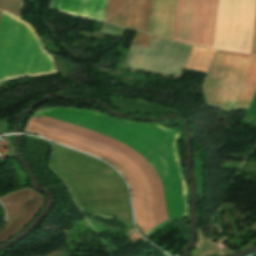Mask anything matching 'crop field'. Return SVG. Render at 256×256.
Wrapping results in <instances>:
<instances>
[{
    "label": "crop field",
    "instance_id": "4",
    "mask_svg": "<svg viewBox=\"0 0 256 256\" xmlns=\"http://www.w3.org/2000/svg\"><path fill=\"white\" fill-rule=\"evenodd\" d=\"M57 72L54 59L43 49L35 31L27 23L3 11L0 22V82Z\"/></svg>",
    "mask_w": 256,
    "mask_h": 256
},
{
    "label": "crop field",
    "instance_id": "8",
    "mask_svg": "<svg viewBox=\"0 0 256 256\" xmlns=\"http://www.w3.org/2000/svg\"><path fill=\"white\" fill-rule=\"evenodd\" d=\"M176 1L153 0L149 33L172 39Z\"/></svg>",
    "mask_w": 256,
    "mask_h": 256
},
{
    "label": "crop field",
    "instance_id": "9",
    "mask_svg": "<svg viewBox=\"0 0 256 256\" xmlns=\"http://www.w3.org/2000/svg\"><path fill=\"white\" fill-rule=\"evenodd\" d=\"M107 0H59L58 10L104 21Z\"/></svg>",
    "mask_w": 256,
    "mask_h": 256
},
{
    "label": "crop field",
    "instance_id": "7",
    "mask_svg": "<svg viewBox=\"0 0 256 256\" xmlns=\"http://www.w3.org/2000/svg\"><path fill=\"white\" fill-rule=\"evenodd\" d=\"M152 0H108L106 22L147 32Z\"/></svg>",
    "mask_w": 256,
    "mask_h": 256
},
{
    "label": "crop field",
    "instance_id": "1",
    "mask_svg": "<svg viewBox=\"0 0 256 256\" xmlns=\"http://www.w3.org/2000/svg\"><path fill=\"white\" fill-rule=\"evenodd\" d=\"M38 113L98 130L130 144L158 171L165 187L169 220L188 216L179 132L75 108H47ZM38 113L31 118L27 131L97 155L123 174L132 188L136 222L145 237L169 222L162 181L143 155L128 144L98 131Z\"/></svg>",
    "mask_w": 256,
    "mask_h": 256
},
{
    "label": "crop field",
    "instance_id": "3",
    "mask_svg": "<svg viewBox=\"0 0 256 256\" xmlns=\"http://www.w3.org/2000/svg\"><path fill=\"white\" fill-rule=\"evenodd\" d=\"M256 83V56L217 50L202 83L207 105L245 109ZM256 86L246 109L249 108Z\"/></svg>",
    "mask_w": 256,
    "mask_h": 256
},
{
    "label": "crop field",
    "instance_id": "14",
    "mask_svg": "<svg viewBox=\"0 0 256 256\" xmlns=\"http://www.w3.org/2000/svg\"><path fill=\"white\" fill-rule=\"evenodd\" d=\"M1 13H2V11H0V17H1Z\"/></svg>",
    "mask_w": 256,
    "mask_h": 256
},
{
    "label": "crop field",
    "instance_id": "12",
    "mask_svg": "<svg viewBox=\"0 0 256 256\" xmlns=\"http://www.w3.org/2000/svg\"><path fill=\"white\" fill-rule=\"evenodd\" d=\"M22 0H0V10H7L20 16Z\"/></svg>",
    "mask_w": 256,
    "mask_h": 256
},
{
    "label": "crop field",
    "instance_id": "6",
    "mask_svg": "<svg viewBox=\"0 0 256 256\" xmlns=\"http://www.w3.org/2000/svg\"><path fill=\"white\" fill-rule=\"evenodd\" d=\"M0 201L8 212L6 227L0 231V242H2L15 235L29 223L45 199L39 193L28 188L3 196Z\"/></svg>",
    "mask_w": 256,
    "mask_h": 256
},
{
    "label": "crop field",
    "instance_id": "5",
    "mask_svg": "<svg viewBox=\"0 0 256 256\" xmlns=\"http://www.w3.org/2000/svg\"><path fill=\"white\" fill-rule=\"evenodd\" d=\"M151 39L181 44L137 32L123 66H125L132 45L148 47ZM154 40L151 41L149 48L133 46L125 67L178 77L190 48L187 47L189 45L181 46L185 44L176 45Z\"/></svg>",
    "mask_w": 256,
    "mask_h": 256
},
{
    "label": "crop field",
    "instance_id": "2",
    "mask_svg": "<svg viewBox=\"0 0 256 256\" xmlns=\"http://www.w3.org/2000/svg\"><path fill=\"white\" fill-rule=\"evenodd\" d=\"M217 0H178L174 40L212 45ZM256 0H218L212 48L250 54Z\"/></svg>",
    "mask_w": 256,
    "mask_h": 256
},
{
    "label": "crop field",
    "instance_id": "11",
    "mask_svg": "<svg viewBox=\"0 0 256 256\" xmlns=\"http://www.w3.org/2000/svg\"><path fill=\"white\" fill-rule=\"evenodd\" d=\"M124 31H125V28H121V27H118V26H114V25H111V24L104 23V25L101 28L99 33H95V32L90 33V32L82 31L81 34L89 35V36H96V37H100L102 35L121 37L123 35Z\"/></svg>",
    "mask_w": 256,
    "mask_h": 256
},
{
    "label": "crop field",
    "instance_id": "13",
    "mask_svg": "<svg viewBox=\"0 0 256 256\" xmlns=\"http://www.w3.org/2000/svg\"><path fill=\"white\" fill-rule=\"evenodd\" d=\"M251 54H256V18H255V26H254V34H253Z\"/></svg>",
    "mask_w": 256,
    "mask_h": 256
},
{
    "label": "crop field",
    "instance_id": "10",
    "mask_svg": "<svg viewBox=\"0 0 256 256\" xmlns=\"http://www.w3.org/2000/svg\"><path fill=\"white\" fill-rule=\"evenodd\" d=\"M215 51L213 49L194 47L184 69L206 73Z\"/></svg>",
    "mask_w": 256,
    "mask_h": 256
}]
</instances>
